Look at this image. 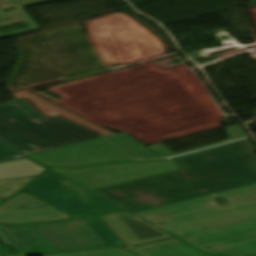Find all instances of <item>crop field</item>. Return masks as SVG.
Wrapping results in <instances>:
<instances>
[{
    "instance_id": "crop-field-1",
    "label": "crop field",
    "mask_w": 256,
    "mask_h": 256,
    "mask_svg": "<svg viewBox=\"0 0 256 256\" xmlns=\"http://www.w3.org/2000/svg\"><path fill=\"white\" fill-rule=\"evenodd\" d=\"M249 139L174 158L181 171L94 193L135 213L256 183Z\"/></svg>"
},
{
    "instance_id": "crop-field-2",
    "label": "crop field",
    "mask_w": 256,
    "mask_h": 256,
    "mask_svg": "<svg viewBox=\"0 0 256 256\" xmlns=\"http://www.w3.org/2000/svg\"><path fill=\"white\" fill-rule=\"evenodd\" d=\"M135 215L201 250L256 232V184Z\"/></svg>"
},
{
    "instance_id": "crop-field-3",
    "label": "crop field",
    "mask_w": 256,
    "mask_h": 256,
    "mask_svg": "<svg viewBox=\"0 0 256 256\" xmlns=\"http://www.w3.org/2000/svg\"><path fill=\"white\" fill-rule=\"evenodd\" d=\"M98 137L60 115L45 118L28 100L0 105V141L26 155Z\"/></svg>"
},
{
    "instance_id": "crop-field-4",
    "label": "crop field",
    "mask_w": 256,
    "mask_h": 256,
    "mask_svg": "<svg viewBox=\"0 0 256 256\" xmlns=\"http://www.w3.org/2000/svg\"><path fill=\"white\" fill-rule=\"evenodd\" d=\"M9 227H0V238L21 255L108 248L82 219Z\"/></svg>"
},
{
    "instance_id": "crop-field-5",
    "label": "crop field",
    "mask_w": 256,
    "mask_h": 256,
    "mask_svg": "<svg viewBox=\"0 0 256 256\" xmlns=\"http://www.w3.org/2000/svg\"><path fill=\"white\" fill-rule=\"evenodd\" d=\"M47 167L159 159L121 133L27 156Z\"/></svg>"
},
{
    "instance_id": "crop-field-6",
    "label": "crop field",
    "mask_w": 256,
    "mask_h": 256,
    "mask_svg": "<svg viewBox=\"0 0 256 256\" xmlns=\"http://www.w3.org/2000/svg\"><path fill=\"white\" fill-rule=\"evenodd\" d=\"M23 191L74 219L123 211L121 208L48 170Z\"/></svg>"
},
{
    "instance_id": "crop-field-7",
    "label": "crop field",
    "mask_w": 256,
    "mask_h": 256,
    "mask_svg": "<svg viewBox=\"0 0 256 256\" xmlns=\"http://www.w3.org/2000/svg\"><path fill=\"white\" fill-rule=\"evenodd\" d=\"M127 246L139 256H207L184 242L132 216L126 211L99 216ZM156 243L146 244L150 242ZM141 246L130 247V245Z\"/></svg>"
},
{
    "instance_id": "crop-field-8",
    "label": "crop field",
    "mask_w": 256,
    "mask_h": 256,
    "mask_svg": "<svg viewBox=\"0 0 256 256\" xmlns=\"http://www.w3.org/2000/svg\"><path fill=\"white\" fill-rule=\"evenodd\" d=\"M93 191L145 177L178 171L173 159L125 164H107L82 169H51Z\"/></svg>"
},
{
    "instance_id": "crop-field-9",
    "label": "crop field",
    "mask_w": 256,
    "mask_h": 256,
    "mask_svg": "<svg viewBox=\"0 0 256 256\" xmlns=\"http://www.w3.org/2000/svg\"><path fill=\"white\" fill-rule=\"evenodd\" d=\"M32 204H39L41 207L18 208ZM67 219H71V217L23 191L0 206V223L2 224L34 223Z\"/></svg>"
},
{
    "instance_id": "crop-field-10",
    "label": "crop field",
    "mask_w": 256,
    "mask_h": 256,
    "mask_svg": "<svg viewBox=\"0 0 256 256\" xmlns=\"http://www.w3.org/2000/svg\"><path fill=\"white\" fill-rule=\"evenodd\" d=\"M54 0H0V39L40 29L22 7Z\"/></svg>"
},
{
    "instance_id": "crop-field-11",
    "label": "crop field",
    "mask_w": 256,
    "mask_h": 256,
    "mask_svg": "<svg viewBox=\"0 0 256 256\" xmlns=\"http://www.w3.org/2000/svg\"><path fill=\"white\" fill-rule=\"evenodd\" d=\"M210 256H256V233L201 250Z\"/></svg>"
},
{
    "instance_id": "crop-field-12",
    "label": "crop field",
    "mask_w": 256,
    "mask_h": 256,
    "mask_svg": "<svg viewBox=\"0 0 256 256\" xmlns=\"http://www.w3.org/2000/svg\"><path fill=\"white\" fill-rule=\"evenodd\" d=\"M44 170L27 159L0 163V180L38 176Z\"/></svg>"
},
{
    "instance_id": "crop-field-13",
    "label": "crop field",
    "mask_w": 256,
    "mask_h": 256,
    "mask_svg": "<svg viewBox=\"0 0 256 256\" xmlns=\"http://www.w3.org/2000/svg\"><path fill=\"white\" fill-rule=\"evenodd\" d=\"M225 129L227 130V133H228V136H229V138L226 141L211 144V145H207V146H203V147H199V148H195V149H191V150L184 151V152H181V153L174 154L170 150H168L167 148L163 147L160 144L149 146L146 149H148L150 152H152L157 157H159L161 159H166L167 157H170V156H176V155L184 154V153H187V152L196 151V150L208 148V147H211V146L223 144V143H226V142L234 141V140H237V139H241V138H244V137H248V135H246L240 129V127L237 124L226 126Z\"/></svg>"
},
{
    "instance_id": "crop-field-14",
    "label": "crop field",
    "mask_w": 256,
    "mask_h": 256,
    "mask_svg": "<svg viewBox=\"0 0 256 256\" xmlns=\"http://www.w3.org/2000/svg\"><path fill=\"white\" fill-rule=\"evenodd\" d=\"M83 220L103 240V242L109 248L110 247H116V246H122L123 243L103 223V221L98 216L83 218Z\"/></svg>"
},
{
    "instance_id": "crop-field-15",
    "label": "crop field",
    "mask_w": 256,
    "mask_h": 256,
    "mask_svg": "<svg viewBox=\"0 0 256 256\" xmlns=\"http://www.w3.org/2000/svg\"><path fill=\"white\" fill-rule=\"evenodd\" d=\"M35 178L36 177L0 181V198L4 201L11 198Z\"/></svg>"
},
{
    "instance_id": "crop-field-16",
    "label": "crop field",
    "mask_w": 256,
    "mask_h": 256,
    "mask_svg": "<svg viewBox=\"0 0 256 256\" xmlns=\"http://www.w3.org/2000/svg\"><path fill=\"white\" fill-rule=\"evenodd\" d=\"M41 256H135L134 254L124 250L122 247L102 249V250H89L71 253L48 254Z\"/></svg>"
},
{
    "instance_id": "crop-field-17",
    "label": "crop field",
    "mask_w": 256,
    "mask_h": 256,
    "mask_svg": "<svg viewBox=\"0 0 256 256\" xmlns=\"http://www.w3.org/2000/svg\"><path fill=\"white\" fill-rule=\"evenodd\" d=\"M18 158H21V156L12 151L0 153V161H6V160H12V159H18Z\"/></svg>"
},
{
    "instance_id": "crop-field-18",
    "label": "crop field",
    "mask_w": 256,
    "mask_h": 256,
    "mask_svg": "<svg viewBox=\"0 0 256 256\" xmlns=\"http://www.w3.org/2000/svg\"><path fill=\"white\" fill-rule=\"evenodd\" d=\"M0 256H7V250L0 248Z\"/></svg>"
},
{
    "instance_id": "crop-field-19",
    "label": "crop field",
    "mask_w": 256,
    "mask_h": 256,
    "mask_svg": "<svg viewBox=\"0 0 256 256\" xmlns=\"http://www.w3.org/2000/svg\"><path fill=\"white\" fill-rule=\"evenodd\" d=\"M6 150H9V149L4 147V146H2V145H0V151H6Z\"/></svg>"
},
{
    "instance_id": "crop-field-20",
    "label": "crop field",
    "mask_w": 256,
    "mask_h": 256,
    "mask_svg": "<svg viewBox=\"0 0 256 256\" xmlns=\"http://www.w3.org/2000/svg\"><path fill=\"white\" fill-rule=\"evenodd\" d=\"M3 201L0 199V203H2Z\"/></svg>"
}]
</instances>
